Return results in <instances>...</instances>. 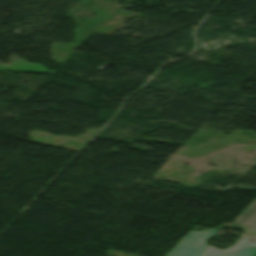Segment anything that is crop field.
Wrapping results in <instances>:
<instances>
[{"instance_id":"obj_3","label":"crop field","mask_w":256,"mask_h":256,"mask_svg":"<svg viewBox=\"0 0 256 256\" xmlns=\"http://www.w3.org/2000/svg\"><path fill=\"white\" fill-rule=\"evenodd\" d=\"M231 226L245 229L247 236L256 238V199Z\"/></svg>"},{"instance_id":"obj_5","label":"crop field","mask_w":256,"mask_h":256,"mask_svg":"<svg viewBox=\"0 0 256 256\" xmlns=\"http://www.w3.org/2000/svg\"><path fill=\"white\" fill-rule=\"evenodd\" d=\"M229 227H231V226H229ZM232 228H234V227H232Z\"/></svg>"},{"instance_id":"obj_4","label":"crop field","mask_w":256,"mask_h":256,"mask_svg":"<svg viewBox=\"0 0 256 256\" xmlns=\"http://www.w3.org/2000/svg\"><path fill=\"white\" fill-rule=\"evenodd\" d=\"M107 255L108 256H135V255L122 253V252H118V251H114V250H111Z\"/></svg>"},{"instance_id":"obj_2","label":"crop field","mask_w":256,"mask_h":256,"mask_svg":"<svg viewBox=\"0 0 256 256\" xmlns=\"http://www.w3.org/2000/svg\"><path fill=\"white\" fill-rule=\"evenodd\" d=\"M246 238L241 237L233 247L221 251L212 247L205 256H256V242L248 245L240 244Z\"/></svg>"},{"instance_id":"obj_1","label":"crop field","mask_w":256,"mask_h":256,"mask_svg":"<svg viewBox=\"0 0 256 256\" xmlns=\"http://www.w3.org/2000/svg\"><path fill=\"white\" fill-rule=\"evenodd\" d=\"M224 226L210 231H190L169 253L170 256H202L210 246L204 245L212 238L217 230Z\"/></svg>"}]
</instances>
